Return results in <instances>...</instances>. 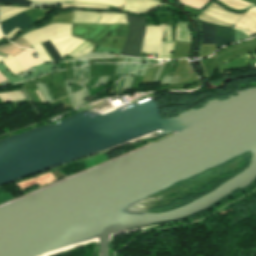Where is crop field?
<instances>
[{
    "label": "crop field",
    "instance_id": "f4fd0767",
    "mask_svg": "<svg viewBox=\"0 0 256 256\" xmlns=\"http://www.w3.org/2000/svg\"><path fill=\"white\" fill-rule=\"evenodd\" d=\"M164 27L165 25L146 27V33L141 50L142 53H154L158 54L159 56L163 39Z\"/></svg>",
    "mask_w": 256,
    "mask_h": 256
},
{
    "label": "crop field",
    "instance_id": "5142ce71",
    "mask_svg": "<svg viewBox=\"0 0 256 256\" xmlns=\"http://www.w3.org/2000/svg\"><path fill=\"white\" fill-rule=\"evenodd\" d=\"M202 44H215L214 26L202 24Z\"/></svg>",
    "mask_w": 256,
    "mask_h": 256
},
{
    "label": "crop field",
    "instance_id": "92a150f3",
    "mask_svg": "<svg viewBox=\"0 0 256 256\" xmlns=\"http://www.w3.org/2000/svg\"><path fill=\"white\" fill-rule=\"evenodd\" d=\"M64 7H94V8H107L106 6L92 5V4H63L60 7L56 8H64Z\"/></svg>",
    "mask_w": 256,
    "mask_h": 256
},
{
    "label": "crop field",
    "instance_id": "22f410ed",
    "mask_svg": "<svg viewBox=\"0 0 256 256\" xmlns=\"http://www.w3.org/2000/svg\"><path fill=\"white\" fill-rule=\"evenodd\" d=\"M26 7L2 6L0 7V22L21 12L27 10Z\"/></svg>",
    "mask_w": 256,
    "mask_h": 256
},
{
    "label": "crop field",
    "instance_id": "ae1a2a85",
    "mask_svg": "<svg viewBox=\"0 0 256 256\" xmlns=\"http://www.w3.org/2000/svg\"><path fill=\"white\" fill-rule=\"evenodd\" d=\"M3 58H4V57H1V56H0V61H1Z\"/></svg>",
    "mask_w": 256,
    "mask_h": 256
},
{
    "label": "crop field",
    "instance_id": "e52e79f7",
    "mask_svg": "<svg viewBox=\"0 0 256 256\" xmlns=\"http://www.w3.org/2000/svg\"><path fill=\"white\" fill-rule=\"evenodd\" d=\"M197 21L205 24H210L207 22L200 21L198 19ZM210 25H214V24H210ZM215 40H216V45H215L216 49H218L221 46L233 43L234 29L215 25Z\"/></svg>",
    "mask_w": 256,
    "mask_h": 256
},
{
    "label": "crop field",
    "instance_id": "34b2d1b8",
    "mask_svg": "<svg viewBox=\"0 0 256 256\" xmlns=\"http://www.w3.org/2000/svg\"><path fill=\"white\" fill-rule=\"evenodd\" d=\"M240 18L241 16L237 14L229 13L215 4H212L210 7H208L198 17V19L200 20L211 22L214 24L222 25V26H228V27H231Z\"/></svg>",
    "mask_w": 256,
    "mask_h": 256
},
{
    "label": "crop field",
    "instance_id": "5a996713",
    "mask_svg": "<svg viewBox=\"0 0 256 256\" xmlns=\"http://www.w3.org/2000/svg\"><path fill=\"white\" fill-rule=\"evenodd\" d=\"M34 52V50L26 49L22 51L21 53L17 54L15 57H13L24 70H27L31 67H34L36 65L42 64L40 62L39 58L34 59L30 53Z\"/></svg>",
    "mask_w": 256,
    "mask_h": 256
},
{
    "label": "crop field",
    "instance_id": "eef30255",
    "mask_svg": "<svg viewBox=\"0 0 256 256\" xmlns=\"http://www.w3.org/2000/svg\"><path fill=\"white\" fill-rule=\"evenodd\" d=\"M36 92H37V94H38V96H39V98H40L41 102H42V103H44V101H43V99H42V97H41V95H40L39 91H36Z\"/></svg>",
    "mask_w": 256,
    "mask_h": 256
},
{
    "label": "crop field",
    "instance_id": "d1516ede",
    "mask_svg": "<svg viewBox=\"0 0 256 256\" xmlns=\"http://www.w3.org/2000/svg\"><path fill=\"white\" fill-rule=\"evenodd\" d=\"M165 31H166L167 42H163L162 44L160 57H171L174 41H171L170 26H166ZM165 59H171V58H165Z\"/></svg>",
    "mask_w": 256,
    "mask_h": 256
},
{
    "label": "crop field",
    "instance_id": "8a807250",
    "mask_svg": "<svg viewBox=\"0 0 256 256\" xmlns=\"http://www.w3.org/2000/svg\"><path fill=\"white\" fill-rule=\"evenodd\" d=\"M71 27L72 24L55 23L45 28L33 30L23 35L22 37L34 48V50L37 51L39 57L43 61H52L41 46L40 42L59 36L69 35L71 34ZM83 41L84 40L75 38L71 35L51 39V42L53 43L61 57L70 52ZM51 42L50 40H48L46 42H43V44L53 56L55 61L63 60Z\"/></svg>",
    "mask_w": 256,
    "mask_h": 256
},
{
    "label": "crop field",
    "instance_id": "bc2a9ffb",
    "mask_svg": "<svg viewBox=\"0 0 256 256\" xmlns=\"http://www.w3.org/2000/svg\"><path fill=\"white\" fill-rule=\"evenodd\" d=\"M74 2H90L120 7L125 0H73Z\"/></svg>",
    "mask_w": 256,
    "mask_h": 256
},
{
    "label": "crop field",
    "instance_id": "214f88e0",
    "mask_svg": "<svg viewBox=\"0 0 256 256\" xmlns=\"http://www.w3.org/2000/svg\"><path fill=\"white\" fill-rule=\"evenodd\" d=\"M208 1H210V0H179L180 3L189 5L198 10H200V8Z\"/></svg>",
    "mask_w": 256,
    "mask_h": 256
},
{
    "label": "crop field",
    "instance_id": "3316defc",
    "mask_svg": "<svg viewBox=\"0 0 256 256\" xmlns=\"http://www.w3.org/2000/svg\"><path fill=\"white\" fill-rule=\"evenodd\" d=\"M99 12L87 13L82 11L73 12V23H96Z\"/></svg>",
    "mask_w": 256,
    "mask_h": 256
},
{
    "label": "crop field",
    "instance_id": "dafd665d",
    "mask_svg": "<svg viewBox=\"0 0 256 256\" xmlns=\"http://www.w3.org/2000/svg\"><path fill=\"white\" fill-rule=\"evenodd\" d=\"M127 16V21L128 23H135V24H144V25H148L147 20L145 17L143 18H137V17H133V16Z\"/></svg>",
    "mask_w": 256,
    "mask_h": 256
},
{
    "label": "crop field",
    "instance_id": "d3111659",
    "mask_svg": "<svg viewBox=\"0 0 256 256\" xmlns=\"http://www.w3.org/2000/svg\"><path fill=\"white\" fill-rule=\"evenodd\" d=\"M3 36H2V34H1V32H0V38H2Z\"/></svg>",
    "mask_w": 256,
    "mask_h": 256
},
{
    "label": "crop field",
    "instance_id": "00972430",
    "mask_svg": "<svg viewBox=\"0 0 256 256\" xmlns=\"http://www.w3.org/2000/svg\"><path fill=\"white\" fill-rule=\"evenodd\" d=\"M2 3H15L20 5H26L28 6L30 4V1L27 0H0Z\"/></svg>",
    "mask_w": 256,
    "mask_h": 256
},
{
    "label": "crop field",
    "instance_id": "412701ff",
    "mask_svg": "<svg viewBox=\"0 0 256 256\" xmlns=\"http://www.w3.org/2000/svg\"><path fill=\"white\" fill-rule=\"evenodd\" d=\"M145 27L139 25H129V35L122 48L121 55L129 57H139Z\"/></svg>",
    "mask_w": 256,
    "mask_h": 256
},
{
    "label": "crop field",
    "instance_id": "4a817a6b",
    "mask_svg": "<svg viewBox=\"0 0 256 256\" xmlns=\"http://www.w3.org/2000/svg\"><path fill=\"white\" fill-rule=\"evenodd\" d=\"M5 65L12 71L14 75L23 72V69L20 67V65L11 57L9 54L4 60H2ZM2 62V63H3ZM3 63V64H4ZM9 70V71H10ZM10 71V72H11Z\"/></svg>",
    "mask_w": 256,
    "mask_h": 256
},
{
    "label": "crop field",
    "instance_id": "dd49c442",
    "mask_svg": "<svg viewBox=\"0 0 256 256\" xmlns=\"http://www.w3.org/2000/svg\"><path fill=\"white\" fill-rule=\"evenodd\" d=\"M33 23L31 22L30 18L24 13H20L2 23H0L2 33L4 36L14 28H19L23 29L27 26L32 25Z\"/></svg>",
    "mask_w": 256,
    "mask_h": 256
},
{
    "label": "crop field",
    "instance_id": "d8731c3e",
    "mask_svg": "<svg viewBox=\"0 0 256 256\" xmlns=\"http://www.w3.org/2000/svg\"><path fill=\"white\" fill-rule=\"evenodd\" d=\"M163 5L164 4L160 3L158 0H127L125 7L146 12L154 7L163 6ZM124 10L133 12V13H142V12L126 9V8Z\"/></svg>",
    "mask_w": 256,
    "mask_h": 256
},
{
    "label": "crop field",
    "instance_id": "28ad6ade",
    "mask_svg": "<svg viewBox=\"0 0 256 256\" xmlns=\"http://www.w3.org/2000/svg\"><path fill=\"white\" fill-rule=\"evenodd\" d=\"M97 23H125V15L121 14H110V13H101Z\"/></svg>",
    "mask_w": 256,
    "mask_h": 256
},
{
    "label": "crop field",
    "instance_id": "ac0d7876",
    "mask_svg": "<svg viewBox=\"0 0 256 256\" xmlns=\"http://www.w3.org/2000/svg\"><path fill=\"white\" fill-rule=\"evenodd\" d=\"M127 30L128 26L123 24H73L72 35L98 46L105 36L125 38Z\"/></svg>",
    "mask_w": 256,
    "mask_h": 256
},
{
    "label": "crop field",
    "instance_id": "730fd06b",
    "mask_svg": "<svg viewBox=\"0 0 256 256\" xmlns=\"http://www.w3.org/2000/svg\"><path fill=\"white\" fill-rule=\"evenodd\" d=\"M5 80H7V79L0 73V82H3Z\"/></svg>",
    "mask_w": 256,
    "mask_h": 256
},
{
    "label": "crop field",
    "instance_id": "a9b5d70f",
    "mask_svg": "<svg viewBox=\"0 0 256 256\" xmlns=\"http://www.w3.org/2000/svg\"><path fill=\"white\" fill-rule=\"evenodd\" d=\"M18 32H20V30L16 28V29H14L12 32H10L8 35H6L5 37L8 38V39H10V38H12L14 35H16Z\"/></svg>",
    "mask_w": 256,
    "mask_h": 256
},
{
    "label": "crop field",
    "instance_id": "d9b57169",
    "mask_svg": "<svg viewBox=\"0 0 256 256\" xmlns=\"http://www.w3.org/2000/svg\"><path fill=\"white\" fill-rule=\"evenodd\" d=\"M175 40L185 41L191 43V35L185 23H178L177 34Z\"/></svg>",
    "mask_w": 256,
    "mask_h": 256
},
{
    "label": "crop field",
    "instance_id": "cbeb9de0",
    "mask_svg": "<svg viewBox=\"0 0 256 256\" xmlns=\"http://www.w3.org/2000/svg\"><path fill=\"white\" fill-rule=\"evenodd\" d=\"M96 48L97 47H95L85 41L84 43H82L80 46H78L76 49H74L73 51H71L68 54H70L72 57L76 58V57L85 55L87 53L93 52V51H95Z\"/></svg>",
    "mask_w": 256,
    "mask_h": 256
},
{
    "label": "crop field",
    "instance_id": "750c4746",
    "mask_svg": "<svg viewBox=\"0 0 256 256\" xmlns=\"http://www.w3.org/2000/svg\"><path fill=\"white\" fill-rule=\"evenodd\" d=\"M65 1H71V0H65Z\"/></svg>",
    "mask_w": 256,
    "mask_h": 256
},
{
    "label": "crop field",
    "instance_id": "733c2abd",
    "mask_svg": "<svg viewBox=\"0 0 256 256\" xmlns=\"http://www.w3.org/2000/svg\"><path fill=\"white\" fill-rule=\"evenodd\" d=\"M0 99L2 100L3 103H6V102L24 100L25 98L20 91H15V92L0 94Z\"/></svg>",
    "mask_w": 256,
    "mask_h": 256
},
{
    "label": "crop field",
    "instance_id": "4177f3b9",
    "mask_svg": "<svg viewBox=\"0 0 256 256\" xmlns=\"http://www.w3.org/2000/svg\"><path fill=\"white\" fill-rule=\"evenodd\" d=\"M34 2H51V1H63V0H31Z\"/></svg>",
    "mask_w": 256,
    "mask_h": 256
}]
</instances>
